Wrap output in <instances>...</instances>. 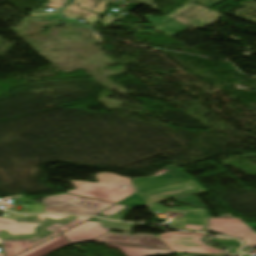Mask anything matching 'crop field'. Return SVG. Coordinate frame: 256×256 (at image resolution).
I'll return each instance as SVG.
<instances>
[{
    "mask_svg": "<svg viewBox=\"0 0 256 256\" xmlns=\"http://www.w3.org/2000/svg\"><path fill=\"white\" fill-rule=\"evenodd\" d=\"M63 15H64V17H69V18H72V19L75 18V16L71 15V14L69 13V11H66V10H63Z\"/></svg>",
    "mask_w": 256,
    "mask_h": 256,
    "instance_id": "obj_21",
    "label": "crop field"
},
{
    "mask_svg": "<svg viewBox=\"0 0 256 256\" xmlns=\"http://www.w3.org/2000/svg\"><path fill=\"white\" fill-rule=\"evenodd\" d=\"M40 221L46 222L44 217H49V218H53V219H59V218H65V217H61V216H55V215H37Z\"/></svg>",
    "mask_w": 256,
    "mask_h": 256,
    "instance_id": "obj_20",
    "label": "crop field"
},
{
    "mask_svg": "<svg viewBox=\"0 0 256 256\" xmlns=\"http://www.w3.org/2000/svg\"><path fill=\"white\" fill-rule=\"evenodd\" d=\"M116 205H117V204H116ZM125 208H126V206L117 205V206H115V207H113V208H111V209H109V210L103 212L102 214H104V215H106V216H112V215H114V214L120 212L121 210H123V209H125Z\"/></svg>",
    "mask_w": 256,
    "mask_h": 256,
    "instance_id": "obj_17",
    "label": "crop field"
},
{
    "mask_svg": "<svg viewBox=\"0 0 256 256\" xmlns=\"http://www.w3.org/2000/svg\"><path fill=\"white\" fill-rule=\"evenodd\" d=\"M206 235L200 233L175 232L159 235L174 252L222 254V250L207 246L201 241Z\"/></svg>",
    "mask_w": 256,
    "mask_h": 256,
    "instance_id": "obj_4",
    "label": "crop field"
},
{
    "mask_svg": "<svg viewBox=\"0 0 256 256\" xmlns=\"http://www.w3.org/2000/svg\"><path fill=\"white\" fill-rule=\"evenodd\" d=\"M56 215H62V214H56ZM62 216H68V215H62Z\"/></svg>",
    "mask_w": 256,
    "mask_h": 256,
    "instance_id": "obj_25",
    "label": "crop field"
},
{
    "mask_svg": "<svg viewBox=\"0 0 256 256\" xmlns=\"http://www.w3.org/2000/svg\"><path fill=\"white\" fill-rule=\"evenodd\" d=\"M203 191L196 183L192 180L177 183L161 188H156L144 192H140V194L151 204L155 201L167 199V198H175L179 201L185 203H192L196 207L204 208L190 193H197Z\"/></svg>",
    "mask_w": 256,
    "mask_h": 256,
    "instance_id": "obj_3",
    "label": "crop field"
},
{
    "mask_svg": "<svg viewBox=\"0 0 256 256\" xmlns=\"http://www.w3.org/2000/svg\"><path fill=\"white\" fill-rule=\"evenodd\" d=\"M70 244L60 234L57 237L19 255V256H44L53 252L61 247L69 246Z\"/></svg>",
    "mask_w": 256,
    "mask_h": 256,
    "instance_id": "obj_11",
    "label": "crop field"
},
{
    "mask_svg": "<svg viewBox=\"0 0 256 256\" xmlns=\"http://www.w3.org/2000/svg\"><path fill=\"white\" fill-rule=\"evenodd\" d=\"M90 241L117 245L170 249L158 237L152 234H136L135 236H131L126 234H117L109 232L97 239Z\"/></svg>",
    "mask_w": 256,
    "mask_h": 256,
    "instance_id": "obj_5",
    "label": "crop field"
},
{
    "mask_svg": "<svg viewBox=\"0 0 256 256\" xmlns=\"http://www.w3.org/2000/svg\"><path fill=\"white\" fill-rule=\"evenodd\" d=\"M120 204L126 206H137L147 203L136 193L131 197L127 198L126 200H124L123 202H121Z\"/></svg>",
    "mask_w": 256,
    "mask_h": 256,
    "instance_id": "obj_15",
    "label": "crop field"
},
{
    "mask_svg": "<svg viewBox=\"0 0 256 256\" xmlns=\"http://www.w3.org/2000/svg\"><path fill=\"white\" fill-rule=\"evenodd\" d=\"M0 243H1V241H0Z\"/></svg>",
    "mask_w": 256,
    "mask_h": 256,
    "instance_id": "obj_27",
    "label": "crop field"
},
{
    "mask_svg": "<svg viewBox=\"0 0 256 256\" xmlns=\"http://www.w3.org/2000/svg\"><path fill=\"white\" fill-rule=\"evenodd\" d=\"M96 177L100 183L72 181L77 188L67 192L114 203L136 193L132 188L130 178L112 173H100ZM121 186H126V188H121Z\"/></svg>",
    "mask_w": 256,
    "mask_h": 256,
    "instance_id": "obj_1",
    "label": "crop field"
},
{
    "mask_svg": "<svg viewBox=\"0 0 256 256\" xmlns=\"http://www.w3.org/2000/svg\"><path fill=\"white\" fill-rule=\"evenodd\" d=\"M80 214H82V215H96L98 213H95V212H92V211H84V212H82Z\"/></svg>",
    "mask_w": 256,
    "mask_h": 256,
    "instance_id": "obj_22",
    "label": "crop field"
},
{
    "mask_svg": "<svg viewBox=\"0 0 256 256\" xmlns=\"http://www.w3.org/2000/svg\"><path fill=\"white\" fill-rule=\"evenodd\" d=\"M166 171L171 174L175 179L178 181L188 179L189 177L186 176L180 169L176 166L167 168Z\"/></svg>",
    "mask_w": 256,
    "mask_h": 256,
    "instance_id": "obj_16",
    "label": "crop field"
},
{
    "mask_svg": "<svg viewBox=\"0 0 256 256\" xmlns=\"http://www.w3.org/2000/svg\"><path fill=\"white\" fill-rule=\"evenodd\" d=\"M60 226V224H54V225H52V226H50V227H48V228H46L47 230H49V231H51V230H53V229H55V228H57V227H59Z\"/></svg>",
    "mask_w": 256,
    "mask_h": 256,
    "instance_id": "obj_23",
    "label": "crop field"
},
{
    "mask_svg": "<svg viewBox=\"0 0 256 256\" xmlns=\"http://www.w3.org/2000/svg\"><path fill=\"white\" fill-rule=\"evenodd\" d=\"M210 230L232 237H243L245 246L256 243V232L239 218L211 219Z\"/></svg>",
    "mask_w": 256,
    "mask_h": 256,
    "instance_id": "obj_6",
    "label": "crop field"
},
{
    "mask_svg": "<svg viewBox=\"0 0 256 256\" xmlns=\"http://www.w3.org/2000/svg\"><path fill=\"white\" fill-rule=\"evenodd\" d=\"M107 1L108 0H75L72 4L66 7V10H69L70 13L76 16V18L87 19L85 23L91 25L94 21H96L99 18V15L91 13L83 8L102 14L106 11L104 7Z\"/></svg>",
    "mask_w": 256,
    "mask_h": 256,
    "instance_id": "obj_8",
    "label": "crop field"
},
{
    "mask_svg": "<svg viewBox=\"0 0 256 256\" xmlns=\"http://www.w3.org/2000/svg\"><path fill=\"white\" fill-rule=\"evenodd\" d=\"M104 19V26L102 27V29H104V28H106L107 26H109L111 23H113L115 20H117V18H114V17H111V16H107V17H105V18H103ZM100 20V19H99ZM100 21H102V20H100Z\"/></svg>",
    "mask_w": 256,
    "mask_h": 256,
    "instance_id": "obj_19",
    "label": "crop field"
},
{
    "mask_svg": "<svg viewBox=\"0 0 256 256\" xmlns=\"http://www.w3.org/2000/svg\"><path fill=\"white\" fill-rule=\"evenodd\" d=\"M42 203L47 204L45 212H63L77 214L84 210L102 212L113 204H107L87 198L63 194L47 197Z\"/></svg>",
    "mask_w": 256,
    "mask_h": 256,
    "instance_id": "obj_2",
    "label": "crop field"
},
{
    "mask_svg": "<svg viewBox=\"0 0 256 256\" xmlns=\"http://www.w3.org/2000/svg\"><path fill=\"white\" fill-rule=\"evenodd\" d=\"M188 11L191 12L192 14L196 15V17L192 20H188V19L182 17V15L184 14L183 13L182 15L178 16L175 19L192 27V28H202V27L210 24L211 22L221 18V15L219 13L210 11L209 9L204 8L202 6H198V5L193 6ZM188 11H186V12H188Z\"/></svg>",
    "mask_w": 256,
    "mask_h": 256,
    "instance_id": "obj_10",
    "label": "crop field"
},
{
    "mask_svg": "<svg viewBox=\"0 0 256 256\" xmlns=\"http://www.w3.org/2000/svg\"><path fill=\"white\" fill-rule=\"evenodd\" d=\"M38 225L40 224L17 223L12 219L0 218V230H5L12 236L34 234Z\"/></svg>",
    "mask_w": 256,
    "mask_h": 256,
    "instance_id": "obj_12",
    "label": "crop field"
},
{
    "mask_svg": "<svg viewBox=\"0 0 256 256\" xmlns=\"http://www.w3.org/2000/svg\"><path fill=\"white\" fill-rule=\"evenodd\" d=\"M108 248H116L122 252L125 256H150L154 254H172V250H157V249H147V248H137V247H127V246H117L105 244Z\"/></svg>",
    "mask_w": 256,
    "mask_h": 256,
    "instance_id": "obj_13",
    "label": "crop field"
},
{
    "mask_svg": "<svg viewBox=\"0 0 256 256\" xmlns=\"http://www.w3.org/2000/svg\"><path fill=\"white\" fill-rule=\"evenodd\" d=\"M48 2H66L67 0H47Z\"/></svg>",
    "mask_w": 256,
    "mask_h": 256,
    "instance_id": "obj_24",
    "label": "crop field"
},
{
    "mask_svg": "<svg viewBox=\"0 0 256 256\" xmlns=\"http://www.w3.org/2000/svg\"><path fill=\"white\" fill-rule=\"evenodd\" d=\"M193 4H195V3L189 1V2H187V3H185V4H183V6H182L181 8H179V9H177V10L171 12V13H170L169 15H167V16L173 18L174 16H176V15L179 14L180 12L184 11V10L187 9L188 7L192 6Z\"/></svg>",
    "mask_w": 256,
    "mask_h": 256,
    "instance_id": "obj_18",
    "label": "crop field"
},
{
    "mask_svg": "<svg viewBox=\"0 0 256 256\" xmlns=\"http://www.w3.org/2000/svg\"><path fill=\"white\" fill-rule=\"evenodd\" d=\"M66 3H46L43 6L48 8H56V13H42V14H31V16H38V17H49V20H52L53 17H61L59 14V10L65 5ZM47 21V20H41Z\"/></svg>",
    "mask_w": 256,
    "mask_h": 256,
    "instance_id": "obj_14",
    "label": "crop field"
},
{
    "mask_svg": "<svg viewBox=\"0 0 256 256\" xmlns=\"http://www.w3.org/2000/svg\"><path fill=\"white\" fill-rule=\"evenodd\" d=\"M110 229L102 228L98 222H85L65 233L63 235L72 243H81L96 238Z\"/></svg>",
    "mask_w": 256,
    "mask_h": 256,
    "instance_id": "obj_9",
    "label": "crop field"
},
{
    "mask_svg": "<svg viewBox=\"0 0 256 256\" xmlns=\"http://www.w3.org/2000/svg\"><path fill=\"white\" fill-rule=\"evenodd\" d=\"M91 217H83V216H80L78 217L77 219H75L74 221L68 223V224H65L55 230H53L52 232H54V234L36 242V243H32L31 240H27V241H2L3 243V246H4V250H5V256H15L29 248H32L88 219H90Z\"/></svg>",
    "mask_w": 256,
    "mask_h": 256,
    "instance_id": "obj_7",
    "label": "crop field"
},
{
    "mask_svg": "<svg viewBox=\"0 0 256 256\" xmlns=\"http://www.w3.org/2000/svg\"><path fill=\"white\" fill-rule=\"evenodd\" d=\"M0 256H3V254H0Z\"/></svg>",
    "mask_w": 256,
    "mask_h": 256,
    "instance_id": "obj_26",
    "label": "crop field"
}]
</instances>
